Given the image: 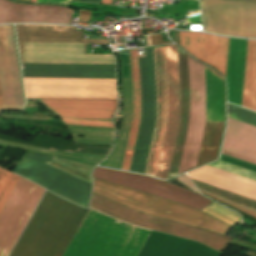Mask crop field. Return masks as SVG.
Returning a JSON list of instances; mask_svg holds the SVG:
<instances>
[{
  "label": "crop field",
  "mask_w": 256,
  "mask_h": 256,
  "mask_svg": "<svg viewBox=\"0 0 256 256\" xmlns=\"http://www.w3.org/2000/svg\"><path fill=\"white\" fill-rule=\"evenodd\" d=\"M86 212L47 191L11 256H62Z\"/></svg>",
  "instance_id": "1"
},
{
  "label": "crop field",
  "mask_w": 256,
  "mask_h": 256,
  "mask_svg": "<svg viewBox=\"0 0 256 256\" xmlns=\"http://www.w3.org/2000/svg\"><path fill=\"white\" fill-rule=\"evenodd\" d=\"M21 62L115 64L113 55L86 54V43L76 28L51 25H17Z\"/></svg>",
  "instance_id": "2"
},
{
  "label": "crop field",
  "mask_w": 256,
  "mask_h": 256,
  "mask_svg": "<svg viewBox=\"0 0 256 256\" xmlns=\"http://www.w3.org/2000/svg\"><path fill=\"white\" fill-rule=\"evenodd\" d=\"M164 52L168 86V122ZM164 52L163 47L154 48L157 85V121L145 172V174L147 175H155L160 148L167 122L162 149L155 175V177L161 179H166L167 176L173 144L179 122V85L176 47L173 45L166 46L164 47Z\"/></svg>",
  "instance_id": "3"
},
{
  "label": "crop field",
  "mask_w": 256,
  "mask_h": 256,
  "mask_svg": "<svg viewBox=\"0 0 256 256\" xmlns=\"http://www.w3.org/2000/svg\"><path fill=\"white\" fill-rule=\"evenodd\" d=\"M149 233L89 208L63 256H137Z\"/></svg>",
  "instance_id": "4"
},
{
  "label": "crop field",
  "mask_w": 256,
  "mask_h": 256,
  "mask_svg": "<svg viewBox=\"0 0 256 256\" xmlns=\"http://www.w3.org/2000/svg\"><path fill=\"white\" fill-rule=\"evenodd\" d=\"M94 192L139 211L198 226L225 235L231 228L192 208L171 203L147 194L94 180Z\"/></svg>",
  "instance_id": "5"
},
{
  "label": "crop field",
  "mask_w": 256,
  "mask_h": 256,
  "mask_svg": "<svg viewBox=\"0 0 256 256\" xmlns=\"http://www.w3.org/2000/svg\"><path fill=\"white\" fill-rule=\"evenodd\" d=\"M90 206L115 218L160 232L201 242L223 252L231 238L213 232L157 219L137 211L120 206L92 193Z\"/></svg>",
  "instance_id": "6"
},
{
  "label": "crop field",
  "mask_w": 256,
  "mask_h": 256,
  "mask_svg": "<svg viewBox=\"0 0 256 256\" xmlns=\"http://www.w3.org/2000/svg\"><path fill=\"white\" fill-rule=\"evenodd\" d=\"M200 4L205 31L256 38V3L201 0Z\"/></svg>",
  "instance_id": "7"
},
{
  "label": "crop field",
  "mask_w": 256,
  "mask_h": 256,
  "mask_svg": "<svg viewBox=\"0 0 256 256\" xmlns=\"http://www.w3.org/2000/svg\"><path fill=\"white\" fill-rule=\"evenodd\" d=\"M44 191L20 177L0 213V256L9 255Z\"/></svg>",
  "instance_id": "8"
},
{
  "label": "crop field",
  "mask_w": 256,
  "mask_h": 256,
  "mask_svg": "<svg viewBox=\"0 0 256 256\" xmlns=\"http://www.w3.org/2000/svg\"><path fill=\"white\" fill-rule=\"evenodd\" d=\"M27 97L116 99L115 80L23 78Z\"/></svg>",
  "instance_id": "9"
},
{
  "label": "crop field",
  "mask_w": 256,
  "mask_h": 256,
  "mask_svg": "<svg viewBox=\"0 0 256 256\" xmlns=\"http://www.w3.org/2000/svg\"><path fill=\"white\" fill-rule=\"evenodd\" d=\"M195 61L188 56L190 123L178 174L195 167L205 124V85L203 65Z\"/></svg>",
  "instance_id": "10"
},
{
  "label": "crop field",
  "mask_w": 256,
  "mask_h": 256,
  "mask_svg": "<svg viewBox=\"0 0 256 256\" xmlns=\"http://www.w3.org/2000/svg\"><path fill=\"white\" fill-rule=\"evenodd\" d=\"M93 177L148 192L199 211L212 203L202 196L150 177L101 168L94 170Z\"/></svg>",
  "instance_id": "11"
},
{
  "label": "crop field",
  "mask_w": 256,
  "mask_h": 256,
  "mask_svg": "<svg viewBox=\"0 0 256 256\" xmlns=\"http://www.w3.org/2000/svg\"><path fill=\"white\" fill-rule=\"evenodd\" d=\"M205 66V65H204ZM206 68V67H205ZM208 69V68H207ZM205 69L206 80V121L222 122V80L212 70ZM206 122L197 166L213 161L217 157L224 125V84H223V123Z\"/></svg>",
  "instance_id": "12"
},
{
  "label": "crop field",
  "mask_w": 256,
  "mask_h": 256,
  "mask_svg": "<svg viewBox=\"0 0 256 256\" xmlns=\"http://www.w3.org/2000/svg\"><path fill=\"white\" fill-rule=\"evenodd\" d=\"M5 27H0V45L7 44ZM8 45L0 46V90L3 107H23L22 92L19 78V70L16 56V48L12 28H6ZM0 97L1 109L3 108Z\"/></svg>",
  "instance_id": "13"
},
{
  "label": "crop field",
  "mask_w": 256,
  "mask_h": 256,
  "mask_svg": "<svg viewBox=\"0 0 256 256\" xmlns=\"http://www.w3.org/2000/svg\"><path fill=\"white\" fill-rule=\"evenodd\" d=\"M181 46L225 76L228 38L180 31Z\"/></svg>",
  "instance_id": "14"
},
{
  "label": "crop field",
  "mask_w": 256,
  "mask_h": 256,
  "mask_svg": "<svg viewBox=\"0 0 256 256\" xmlns=\"http://www.w3.org/2000/svg\"><path fill=\"white\" fill-rule=\"evenodd\" d=\"M68 8L21 5L0 0V23L48 22L66 24Z\"/></svg>",
  "instance_id": "15"
},
{
  "label": "crop field",
  "mask_w": 256,
  "mask_h": 256,
  "mask_svg": "<svg viewBox=\"0 0 256 256\" xmlns=\"http://www.w3.org/2000/svg\"><path fill=\"white\" fill-rule=\"evenodd\" d=\"M60 117L111 119L116 100L39 99Z\"/></svg>",
  "instance_id": "16"
},
{
  "label": "crop field",
  "mask_w": 256,
  "mask_h": 256,
  "mask_svg": "<svg viewBox=\"0 0 256 256\" xmlns=\"http://www.w3.org/2000/svg\"><path fill=\"white\" fill-rule=\"evenodd\" d=\"M177 55L180 84V122L178 126L168 177L176 175L178 172L187 127L189 123V82L187 54L177 49Z\"/></svg>",
  "instance_id": "17"
},
{
  "label": "crop field",
  "mask_w": 256,
  "mask_h": 256,
  "mask_svg": "<svg viewBox=\"0 0 256 256\" xmlns=\"http://www.w3.org/2000/svg\"><path fill=\"white\" fill-rule=\"evenodd\" d=\"M189 177L256 199V182L204 166L187 174Z\"/></svg>",
  "instance_id": "18"
},
{
  "label": "crop field",
  "mask_w": 256,
  "mask_h": 256,
  "mask_svg": "<svg viewBox=\"0 0 256 256\" xmlns=\"http://www.w3.org/2000/svg\"><path fill=\"white\" fill-rule=\"evenodd\" d=\"M131 86H132V120L121 169H129L132 152L140 121V85L137 49L129 51Z\"/></svg>",
  "instance_id": "19"
},
{
  "label": "crop field",
  "mask_w": 256,
  "mask_h": 256,
  "mask_svg": "<svg viewBox=\"0 0 256 256\" xmlns=\"http://www.w3.org/2000/svg\"><path fill=\"white\" fill-rule=\"evenodd\" d=\"M223 142L256 153V127L228 118Z\"/></svg>",
  "instance_id": "20"
},
{
  "label": "crop field",
  "mask_w": 256,
  "mask_h": 256,
  "mask_svg": "<svg viewBox=\"0 0 256 256\" xmlns=\"http://www.w3.org/2000/svg\"><path fill=\"white\" fill-rule=\"evenodd\" d=\"M242 106L256 111V41L248 40Z\"/></svg>",
  "instance_id": "21"
},
{
  "label": "crop field",
  "mask_w": 256,
  "mask_h": 256,
  "mask_svg": "<svg viewBox=\"0 0 256 256\" xmlns=\"http://www.w3.org/2000/svg\"><path fill=\"white\" fill-rule=\"evenodd\" d=\"M18 179L19 176L0 169V212Z\"/></svg>",
  "instance_id": "22"
},
{
  "label": "crop field",
  "mask_w": 256,
  "mask_h": 256,
  "mask_svg": "<svg viewBox=\"0 0 256 256\" xmlns=\"http://www.w3.org/2000/svg\"><path fill=\"white\" fill-rule=\"evenodd\" d=\"M202 212L209 213L231 226L240 219V216L215 204L214 202L206 207L204 210H202Z\"/></svg>",
  "instance_id": "23"
},
{
  "label": "crop field",
  "mask_w": 256,
  "mask_h": 256,
  "mask_svg": "<svg viewBox=\"0 0 256 256\" xmlns=\"http://www.w3.org/2000/svg\"><path fill=\"white\" fill-rule=\"evenodd\" d=\"M221 155L256 165V157L222 146Z\"/></svg>",
  "instance_id": "24"
},
{
  "label": "crop field",
  "mask_w": 256,
  "mask_h": 256,
  "mask_svg": "<svg viewBox=\"0 0 256 256\" xmlns=\"http://www.w3.org/2000/svg\"><path fill=\"white\" fill-rule=\"evenodd\" d=\"M198 189H199V188H198ZM199 190H200L201 193H203V194H205V195H207V196H209V197H211V198H213V199H215V200H217V201H219V202H222V203H225V204H227V205L233 206V207H235V208H237V209H239V210H241V211H243V212H245V213H247V214H249V215H251V216H253V217L256 218V210L246 208V207H244V206H241V205H239V204H236V203H234V202H231V201H229V200H227V199H224V198H222V197H219V196H217V195H215V194L205 192V191H203V190H201V189H199Z\"/></svg>",
  "instance_id": "25"
},
{
  "label": "crop field",
  "mask_w": 256,
  "mask_h": 256,
  "mask_svg": "<svg viewBox=\"0 0 256 256\" xmlns=\"http://www.w3.org/2000/svg\"><path fill=\"white\" fill-rule=\"evenodd\" d=\"M65 124L114 127L111 121L78 120L61 118Z\"/></svg>",
  "instance_id": "26"
},
{
  "label": "crop field",
  "mask_w": 256,
  "mask_h": 256,
  "mask_svg": "<svg viewBox=\"0 0 256 256\" xmlns=\"http://www.w3.org/2000/svg\"><path fill=\"white\" fill-rule=\"evenodd\" d=\"M90 15H91V11H86V10L80 9L78 22L87 23V20L90 19Z\"/></svg>",
  "instance_id": "27"
},
{
  "label": "crop field",
  "mask_w": 256,
  "mask_h": 256,
  "mask_svg": "<svg viewBox=\"0 0 256 256\" xmlns=\"http://www.w3.org/2000/svg\"><path fill=\"white\" fill-rule=\"evenodd\" d=\"M159 36H160V35H159ZM159 36H158V35L152 36L153 45L166 44V43H168V42H163L161 36H160V38H161V40H160Z\"/></svg>",
  "instance_id": "28"
},
{
  "label": "crop field",
  "mask_w": 256,
  "mask_h": 256,
  "mask_svg": "<svg viewBox=\"0 0 256 256\" xmlns=\"http://www.w3.org/2000/svg\"><path fill=\"white\" fill-rule=\"evenodd\" d=\"M187 24H198L201 23V18L199 17H194V18H189L186 19Z\"/></svg>",
  "instance_id": "29"
},
{
  "label": "crop field",
  "mask_w": 256,
  "mask_h": 256,
  "mask_svg": "<svg viewBox=\"0 0 256 256\" xmlns=\"http://www.w3.org/2000/svg\"><path fill=\"white\" fill-rule=\"evenodd\" d=\"M69 0H37L39 3H61Z\"/></svg>",
  "instance_id": "30"
},
{
  "label": "crop field",
  "mask_w": 256,
  "mask_h": 256,
  "mask_svg": "<svg viewBox=\"0 0 256 256\" xmlns=\"http://www.w3.org/2000/svg\"><path fill=\"white\" fill-rule=\"evenodd\" d=\"M72 12H73V10L69 9L67 24H70V23H71Z\"/></svg>",
  "instance_id": "31"
},
{
  "label": "crop field",
  "mask_w": 256,
  "mask_h": 256,
  "mask_svg": "<svg viewBox=\"0 0 256 256\" xmlns=\"http://www.w3.org/2000/svg\"><path fill=\"white\" fill-rule=\"evenodd\" d=\"M147 46L152 45L151 36L146 37Z\"/></svg>",
  "instance_id": "32"
},
{
  "label": "crop field",
  "mask_w": 256,
  "mask_h": 256,
  "mask_svg": "<svg viewBox=\"0 0 256 256\" xmlns=\"http://www.w3.org/2000/svg\"><path fill=\"white\" fill-rule=\"evenodd\" d=\"M102 3L110 5V0H102Z\"/></svg>",
  "instance_id": "33"
},
{
  "label": "crop field",
  "mask_w": 256,
  "mask_h": 256,
  "mask_svg": "<svg viewBox=\"0 0 256 256\" xmlns=\"http://www.w3.org/2000/svg\"><path fill=\"white\" fill-rule=\"evenodd\" d=\"M31 2H36V0H31Z\"/></svg>",
  "instance_id": "34"
}]
</instances>
